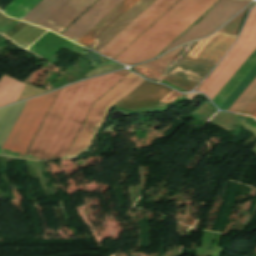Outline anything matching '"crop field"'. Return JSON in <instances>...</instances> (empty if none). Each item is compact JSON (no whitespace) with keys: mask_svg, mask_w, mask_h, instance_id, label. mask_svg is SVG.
<instances>
[{"mask_svg":"<svg viewBox=\"0 0 256 256\" xmlns=\"http://www.w3.org/2000/svg\"><path fill=\"white\" fill-rule=\"evenodd\" d=\"M155 0H139L88 47L98 52Z\"/></svg>","mask_w":256,"mask_h":256,"instance_id":"14","label":"crop field"},{"mask_svg":"<svg viewBox=\"0 0 256 256\" xmlns=\"http://www.w3.org/2000/svg\"><path fill=\"white\" fill-rule=\"evenodd\" d=\"M247 9H248V7L240 15H238L236 18H234L230 23H228L220 31L236 35L237 28H238V26H239V24H240V22H241V20H242V18H243Z\"/></svg>","mask_w":256,"mask_h":256,"instance_id":"20","label":"crop field"},{"mask_svg":"<svg viewBox=\"0 0 256 256\" xmlns=\"http://www.w3.org/2000/svg\"><path fill=\"white\" fill-rule=\"evenodd\" d=\"M217 0H180L115 61L132 65L160 53Z\"/></svg>","mask_w":256,"mask_h":256,"instance_id":"2","label":"crop field"},{"mask_svg":"<svg viewBox=\"0 0 256 256\" xmlns=\"http://www.w3.org/2000/svg\"><path fill=\"white\" fill-rule=\"evenodd\" d=\"M178 0H156L99 53L113 59Z\"/></svg>","mask_w":256,"mask_h":256,"instance_id":"7","label":"crop field"},{"mask_svg":"<svg viewBox=\"0 0 256 256\" xmlns=\"http://www.w3.org/2000/svg\"><path fill=\"white\" fill-rule=\"evenodd\" d=\"M26 102V101H25ZM25 102H21L0 110V148L16 121Z\"/></svg>","mask_w":256,"mask_h":256,"instance_id":"18","label":"crop field"},{"mask_svg":"<svg viewBox=\"0 0 256 256\" xmlns=\"http://www.w3.org/2000/svg\"><path fill=\"white\" fill-rule=\"evenodd\" d=\"M255 49L256 7L252 9L236 44L197 91L212 100Z\"/></svg>","mask_w":256,"mask_h":256,"instance_id":"4","label":"crop field"},{"mask_svg":"<svg viewBox=\"0 0 256 256\" xmlns=\"http://www.w3.org/2000/svg\"><path fill=\"white\" fill-rule=\"evenodd\" d=\"M255 94H256V78L250 83V85L245 89V91L240 95V97L235 101V103L230 107L228 111L233 113H240ZM255 109H256V95L249 102V104L243 109L241 113L251 115Z\"/></svg>","mask_w":256,"mask_h":256,"instance_id":"17","label":"crop field"},{"mask_svg":"<svg viewBox=\"0 0 256 256\" xmlns=\"http://www.w3.org/2000/svg\"><path fill=\"white\" fill-rule=\"evenodd\" d=\"M41 0H14L2 12L21 19ZM66 0H42L38 3L22 20H26L40 25L55 10H57Z\"/></svg>","mask_w":256,"mask_h":256,"instance_id":"11","label":"crop field"},{"mask_svg":"<svg viewBox=\"0 0 256 256\" xmlns=\"http://www.w3.org/2000/svg\"><path fill=\"white\" fill-rule=\"evenodd\" d=\"M16 80V79H15ZM5 75L0 80V106L16 101L25 83L15 81Z\"/></svg>","mask_w":256,"mask_h":256,"instance_id":"19","label":"crop field"},{"mask_svg":"<svg viewBox=\"0 0 256 256\" xmlns=\"http://www.w3.org/2000/svg\"><path fill=\"white\" fill-rule=\"evenodd\" d=\"M180 95V93L176 92V91H172L171 93H169L163 100H161L160 102H165V103H171L172 101H174L178 96Z\"/></svg>","mask_w":256,"mask_h":256,"instance_id":"23","label":"crop field"},{"mask_svg":"<svg viewBox=\"0 0 256 256\" xmlns=\"http://www.w3.org/2000/svg\"><path fill=\"white\" fill-rule=\"evenodd\" d=\"M95 1L96 0H68L44 21L41 26L60 33Z\"/></svg>","mask_w":256,"mask_h":256,"instance_id":"13","label":"crop field"},{"mask_svg":"<svg viewBox=\"0 0 256 256\" xmlns=\"http://www.w3.org/2000/svg\"><path fill=\"white\" fill-rule=\"evenodd\" d=\"M184 46L175 49L161 57L157 60L151 61L147 64L139 65L134 67V71L140 73L141 75L157 80L164 69L168 66L174 56L183 48Z\"/></svg>","mask_w":256,"mask_h":256,"instance_id":"16","label":"crop field"},{"mask_svg":"<svg viewBox=\"0 0 256 256\" xmlns=\"http://www.w3.org/2000/svg\"><path fill=\"white\" fill-rule=\"evenodd\" d=\"M252 116L256 117V111L254 112V114Z\"/></svg>","mask_w":256,"mask_h":256,"instance_id":"24","label":"crop field"},{"mask_svg":"<svg viewBox=\"0 0 256 256\" xmlns=\"http://www.w3.org/2000/svg\"><path fill=\"white\" fill-rule=\"evenodd\" d=\"M256 76V50L212 100L216 106L227 111Z\"/></svg>","mask_w":256,"mask_h":256,"instance_id":"10","label":"crop field"},{"mask_svg":"<svg viewBox=\"0 0 256 256\" xmlns=\"http://www.w3.org/2000/svg\"><path fill=\"white\" fill-rule=\"evenodd\" d=\"M129 72L121 70L62 88L25 158L64 157L92 103Z\"/></svg>","mask_w":256,"mask_h":256,"instance_id":"1","label":"crop field"},{"mask_svg":"<svg viewBox=\"0 0 256 256\" xmlns=\"http://www.w3.org/2000/svg\"><path fill=\"white\" fill-rule=\"evenodd\" d=\"M57 92L27 100L2 148L3 150L24 155ZM3 150H0L1 155L23 157Z\"/></svg>","mask_w":256,"mask_h":256,"instance_id":"6","label":"crop field"},{"mask_svg":"<svg viewBox=\"0 0 256 256\" xmlns=\"http://www.w3.org/2000/svg\"><path fill=\"white\" fill-rule=\"evenodd\" d=\"M144 81L145 80H143L141 77L131 72L99 101H97L84 122L81 130L79 131L76 139L74 140L71 148L69 149L66 157H74L90 147L96 132L104 122L110 108L117 102L121 101Z\"/></svg>","mask_w":256,"mask_h":256,"instance_id":"5","label":"crop field"},{"mask_svg":"<svg viewBox=\"0 0 256 256\" xmlns=\"http://www.w3.org/2000/svg\"><path fill=\"white\" fill-rule=\"evenodd\" d=\"M16 20H13V19H10L8 17H4L1 13H0V27H3V28H7L9 27L11 24H13ZM18 22L20 21H17L16 23H14L12 26H10L8 29H10L11 27H13L14 25H16ZM6 29V30H8ZM6 30L4 29H0V32L3 33L5 32Z\"/></svg>","mask_w":256,"mask_h":256,"instance_id":"22","label":"crop field"},{"mask_svg":"<svg viewBox=\"0 0 256 256\" xmlns=\"http://www.w3.org/2000/svg\"><path fill=\"white\" fill-rule=\"evenodd\" d=\"M118 68H122V66L108 61V62L102 64L101 66H99L98 68H96L95 70L93 69L94 71H92L91 73H89L86 76L90 77V76H93L96 74L105 73V72H108V71H111L114 69H118Z\"/></svg>","mask_w":256,"mask_h":256,"instance_id":"21","label":"crop field"},{"mask_svg":"<svg viewBox=\"0 0 256 256\" xmlns=\"http://www.w3.org/2000/svg\"><path fill=\"white\" fill-rule=\"evenodd\" d=\"M138 0H123L114 10H112L102 21H100L86 36L96 39L104 32L113 22H115L124 12H126ZM93 40L83 37L78 43L88 46Z\"/></svg>","mask_w":256,"mask_h":256,"instance_id":"15","label":"crop field"},{"mask_svg":"<svg viewBox=\"0 0 256 256\" xmlns=\"http://www.w3.org/2000/svg\"><path fill=\"white\" fill-rule=\"evenodd\" d=\"M237 36L218 32L197 42L186 58L216 65ZM184 58L168 75L175 80L200 82L214 65Z\"/></svg>","mask_w":256,"mask_h":256,"instance_id":"3","label":"crop field"},{"mask_svg":"<svg viewBox=\"0 0 256 256\" xmlns=\"http://www.w3.org/2000/svg\"><path fill=\"white\" fill-rule=\"evenodd\" d=\"M248 2H250V0H220L197 25H195L187 33L166 48V50H169L182 43L210 35Z\"/></svg>","mask_w":256,"mask_h":256,"instance_id":"8","label":"crop field"},{"mask_svg":"<svg viewBox=\"0 0 256 256\" xmlns=\"http://www.w3.org/2000/svg\"><path fill=\"white\" fill-rule=\"evenodd\" d=\"M121 1L122 0H98L89 10L65 30L62 35L77 42Z\"/></svg>","mask_w":256,"mask_h":256,"instance_id":"12","label":"crop field"},{"mask_svg":"<svg viewBox=\"0 0 256 256\" xmlns=\"http://www.w3.org/2000/svg\"><path fill=\"white\" fill-rule=\"evenodd\" d=\"M171 91L164 85L146 81L116 108L129 114L161 111L169 104L158 102Z\"/></svg>","mask_w":256,"mask_h":256,"instance_id":"9","label":"crop field"}]
</instances>
